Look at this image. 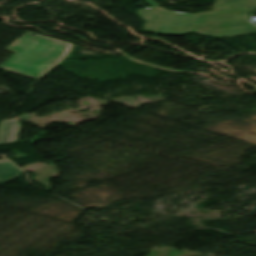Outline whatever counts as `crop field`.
<instances>
[{
	"label": "crop field",
	"instance_id": "obj_2",
	"mask_svg": "<svg viewBox=\"0 0 256 256\" xmlns=\"http://www.w3.org/2000/svg\"><path fill=\"white\" fill-rule=\"evenodd\" d=\"M21 125L16 119L5 121L0 128V144L18 140Z\"/></svg>",
	"mask_w": 256,
	"mask_h": 256
},
{
	"label": "crop field",
	"instance_id": "obj_1",
	"mask_svg": "<svg viewBox=\"0 0 256 256\" xmlns=\"http://www.w3.org/2000/svg\"><path fill=\"white\" fill-rule=\"evenodd\" d=\"M29 32L7 48L15 53L0 68L40 80L67 57L73 44L37 34L32 37Z\"/></svg>",
	"mask_w": 256,
	"mask_h": 256
},
{
	"label": "crop field",
	"instance_id": "obj_4",
	"mask_svg": "<svg viewBox=\"0 0 256 256\" xmlns=\"http://www.w3.org/2000/svg\"><path fill=\"white\" fill-rule=\"evenodd\" d=\"M147 1H149V2H151L152 4L158 6L153 0H147Z\"/></svg>",
	"mask_w": 256,
	"mask_h": 256
},
{
	"label": "crop field",
	"instance_id": "obj_3",
	"mask_svg": "<svg viewBox=\"0 0 256 256\" xmlns=\"http://www.w3.org/2000/svg\"><path fill=\"white\" fill-rule=\"evenodd\" d=\"M22 171L12 165L8 160H0V180L5 183L21 176Z\"/></svg>",
	"mask_w": 256,
	"mask_h": 256
}]
</instances>
